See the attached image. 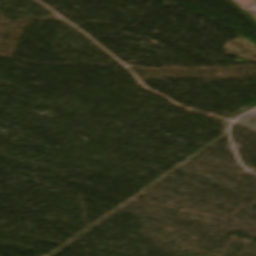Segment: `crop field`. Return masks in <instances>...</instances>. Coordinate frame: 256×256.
<instances>
[{"label":"crop field","mask_w":256,"mask_h":256,"mask_svg":"<svg viewBox=\"0 0 256 256\" xmlns=\"http://www.w3.org/2000/svg\"><path fill=\"white\" fill-rule=\"evenodd\" d=\"M256 20V0H232Z\"/></svg>","instance_id":"crop-field-1"}]
</instances>
